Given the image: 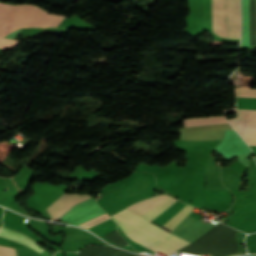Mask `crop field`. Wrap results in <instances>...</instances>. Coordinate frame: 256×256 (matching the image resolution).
I'll use <instances>...</instances> for the list:
<instances>
[{"label": "crop field", "instance_id": "crop-field-4", "mask_svg": "<svg viewBox=\"0 0 256 256\" xmlns=\"http://www.w3.org/2000/svg\"><path fill=\"white\" fill-rule=\"evenodd\" d=\"M236 97L256 98V89L237 87ZM236 118L229 123L245 139L249 146H256V111L237 110Z\"/></svg>", "mask_w": 256, "mask_h": 256}, {"label": "crop field", "instance_id": "crop-field-2", "mask_svg": "<svg viewBox=\"0 0 256 256\" xmlns=\"http://www.w3.org/2000/svg\"><path fill=\"white\" fill-rule=\"evenodd\" d=\"M63 18L33 6L0 4V36L20 27H56Z\"/></svg>", "mask_w": 256, "mask_h": 256}, {"label": "crop field", "instance_id": "crop-field-9", "mask_svg": "<svg viewBox=\"0 0 256 256\" xmlns=\"http://www.w3.org/2000/svg\"><path fill=\"white\" fill-rule=\"evenodd\" d=\"M0 256H16L14 249L0 246Z\"/></svg>", "mask_w": 256, "mask_h": 256}, {"label": "crop field", "instance_id": "crop-field-3", "mask_svg": "<svg viewBox=\"0 0 256 256\" xmlns=\"http://www.w3.org/2000/svg\"><path fill=\"white\" fill-rule=\"evenodd\" d=\"M212 34L240 39L239 0H212Z\"/></svg>", "mask_w": 256, "mask_h": 256}, {"label": "crop field", "instance_id": "crop-field-7", "mask_svg": "<svg viewBox=\"0 0 256 256\" xmlns=\"http://www.w3.org/2000/svg\"><path fill=\"white\" fill-rule=\"evenodd\" d=\"M185 127L227 123L224 116L183 120Z\"/></svg>", "mask_w": 256, "mask_h": 256}, {"label": "crop field", "instance_id": "crop-field-1", "mask_svg": "<svg viewBox=\"0 0 256 256\" xmlns=\"http://www.w3.org/2000/svg\"><path fill=\"white\" fill-rule=\"evenodd\" d=\"M176 201L177 200L167 195H157V196H153V197L144 199L142 201L136 202L126 208L132 210L138 215L151 221ZM126 208L121 210L118 213L130 218L131 220L143 225L144 227L156 232L157 234L169 239L170 241L182 247L190 244L178 238L177 236L163 230L162 228L152 223H149V221L143 219L142 217L138 216L137 214L131 212ZM118 213L111 215V217L117 222V224L120 226L123 232L132 241L148 249L152 247L167 255L182 248ZM150 250L157 252L151 248Z\"/></svg>", "mask_w": 256, "mask_h": 256}, {"label": "crop field", "instance_id": "crop-field-6", "mask_svg": "<svg viewBox=\"0 0 256 256\" xmlns=\"http://www.w3.org/2000/svg\"><path fill=\"white\" fill-rule=\"evenodd\" d=\"M0 236L8 238L13 241H16L18 243H21V244L28 246L40 253L45 250L37 242L35 243L32 239L28 238L27 236H25L19 232L6 229L3 226L0 227Z\"/></svg>", "mask_w": 256, "mask_h": 256}, {"label": "crop field", "instance_id": "crop-field-5", "mask_svg": "<svg viewBox=\"0 0 256 256\" xmlns=\"http://www.w3.org/2000/svg\"><path fill=\"white\" fill-rule=\"evenodd\" d=\"M92 196L79 194H63L57 201L47 208L52 221L59 220L73 205L84 201Z\"/></svg>", "mask_w": 256, "mask_h": 256}, {"label": "crop field", "instance_id": "crop-field-10", "mask_svg": "<svg viewBox=\"0 0 256 256\" xmlns=\"http://www.w3.org/2000/svg\"><path fill=\"white\" fill-rule=\"evenodd\" d=\"M39 256H51V255L45 250Z\"/></svg>", "mask_w": 256, "mask_h": 256}, {"label": "crop field", "instance_id": "crop-field-8", "mask_svg": "<svg viewBox=\"0 0 256 256\" xmlns=\"http://www.w3.org/2000/svg\"><path fill=\"white\" fill-rule=\"evenodd\" d=\"M191 208L192 206L186 205L161 227L171 232L181 222V220L191 211Z\"/></svg>", "mask_w": 256, "mask_h": 256}]
</instances>
